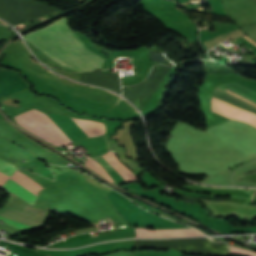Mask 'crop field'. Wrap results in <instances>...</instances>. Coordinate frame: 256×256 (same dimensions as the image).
<instances>
[{
	"label": "crop field",
	"mask_w": 256,
	"mask_h": 256,
	"mask_svg": "<svg viewBox=\"0 0 256 256\" xmlns=\"http://www.w3.org/2000/svg\"><path fill=\"white\" fill-rule=\"evenodd\" d=\"M54 61L77 71L100 68L103 58L88 50L79 38L69 30L68 17L24 36Z\"/></svg>",
	"instance_id": "crop-field-1"
},
{
	"label": "crop field",
	"mask_w": 256,
	"mask_h": 256,
	"mask_svg": "<svg viewBox=\"0 0 256 256\" xmlns=\"http://www.w3.org/2000/svg\"><path fill=\"white\" fill-rule=\"evenodd\" d=\"M36 121L53 137V139L60 145L70 143L68 138L63 132L52 122V120L45 114L37 111H28ZM24 113L15 117L16 122L22 127L26 128L29 132L37 135L38 137L45 139L57 146H59L52 137L35 121V119L28 113ZM80 128L89 136H99L105 133V126L102 123L72 118Z\"/></svg>",
	"instance_id": "crop-field-2"
},
{
	"label": "crop field",
	"mask_w": 256,
	"mask_h": 256,
	"mask_svg": "<svg viewBox=\"0 0 256 256\" xmlns=\"http://www.w3.org/2000/svg\"><path fill=\"white\" fill-rule=\"evenodd\" d=\"M217 91L221 92L222 94L228 96L229 98L235 100L236 102L242 104L243 106L249 108L250 110L256 112V107L217 88ZM214 91L212 94V102H211V110L221 114L229 119L234 118V119H238V120H242V121H246L252 125H254L256 127V113L250 111L249 109L243 107L242 105L236 103L235 101L229 99L228 97L222 95L221 93ZM254 105H256V103L238 95V94H234Z\"/></svg>",
	"instance_id": "crop-field-3"
},
{
	"label": "crop field",
	"mask_w": 256,
	"mask_h": 256,
	"mask_svg": "<svg viewBox=\"0 0 256 256\" xmlns=\"http://www.w3.org/2000/svg\"><path fill=\"white\" fill-rule=\"evenodd\" d=\"M3 188L33 205L38 191L43 187L16 170L15 174L4 184Z\"/></svg>",
	"instance_id": "crop-field-4"
},
{
	"label": "crop field",
	"mask_w": 256,
	"mask_h": 256,
	"mask_svg": "<svg viewBox=\"0 0 256 256\" xmlns=\"http://www.w3.org/2000/svg\"><path fill=\"white\" fill-rule=\"evenodd\" d=\"M137 237L193 236L204 235L194 229L144 230L136 229Z\"/></svg>",
	"instance_id": "crop-field-5"
},
{
	"label": "crop field",
	"mask_w": 256,
	"mask_h": 256,
	"mask_svg": "<svg viewBox=\"0 0 256 256\" xmlns=\"http://www.w3.org/2000/svg\"><path fill=\"white\" fill-rule=\"evenodd\" d=\"M240 35H244V34L242 32H240L239 29H237V30L230 31L226 34H223L221 36L215 37L213 39L207 40L204 43H205L207 49L209 50L221 41L228 40L233 37L240 36Z\"/></svg>",
	"instance_id": "crop-field-6"
},
{
	"label": "crop field",
	"mask_w": 256,
	"mask_h": 256,
	"mask_svg": "<svg viewBox=\"0 0 256 256\" xmlns=\"http://www.w3.org/2000/svg\"><path fill=\"white\" fill-rule=\"evenodd\" d=\"M0 164L11 169V170H15L16 167H14V165L0 159ZM0 165V184L3 185L5 183V181L10 177L11 174H13V171L3 167Z\"/></svg>",
	"instance_id": "crop-field-7"
},
{
	"label": "crop field",
	"mask_w": 256,
	"mask_h": 256,
	"mask_svg": "<svg viewBox=\"0 0 256 256\" xmlns=\"http://www.w3.org/2000/svg\"><path fill=\"white\" fill-rule=\"evenodd\" d=\"M231 253L233 254H238V255H243V256H256V252H252L249 250L237 248V247H232L231 246Z\"/></svg>",
	"instance_id": "crop-field-8"
},
{
	"label": "crop field",
	"mask_w": 256,
	"mask_h": 256,
	"mask_svg": "<svg viewBox=\"0 0 256 256\" xmlns=\"http://www.w3.org/2000/svg\"><path fill=\"white\" fill-rule=\"evenodd\" d=\"M0 219H1L2 221H4L6 224L11 225V226H14V227L19 228V229L30 228L29 226H26V225H23V224H21V223H18V222H15V221H12V220L3 218V217H1V216H0Z\"/></svg>",
	"instance_id": "crop-field-9"
},
{
	"label": "crop field",
	"mask_w": 256,
	"mask_h": 256,
	"mask_svg": "<svg viewBox=\"0 0 256 256\" xmlns=\"http://www.w3.org/2000/svg\"><path fill=\"white\" fill-rule=\"evenodd\" d=\"M244 38H246L247 40H249L252 44H254L256 46V43H254L253 41H251L249 38H247L246 36H244Z\"/></svg>",
	"instance_id": "crop-field-10"
}]
</instances>
